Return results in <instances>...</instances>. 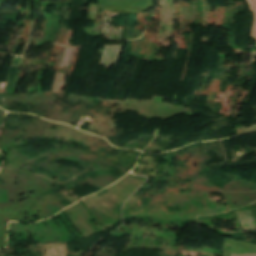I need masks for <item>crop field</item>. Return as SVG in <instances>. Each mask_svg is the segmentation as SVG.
Instances as JSON below:
<instances>
[{
	"mask_svg": "<svg viewBox=\"0 0 256 256\" xmlns=\"http://www.w3.org/2000/svg\"><path fill=\"white\" fill-rule=\"evenodd\" d=\"M250 11H253L254 14V24L251 31V37L256 39V0H247Z\"/></svg>",
	"mask_w": 256,
	"mask_h": 256,
	"instance_id": "8a807250",
	"label": "crop field"
},
{
	"mask_svg": "<svg viewBox=\"0 0 256 256\" xmlns=\"http://www.w3.org/2000/svg\"><path fill=\"white\" fill-rule=\"evenodd\" d=\"M231 248H224V256H230Z\"/></svg>",
	"mask_w": 256,
	"mask_h": 256,
	"instance_id": "ac0d7876",
	"label": "crop field"
}]
</instances>
